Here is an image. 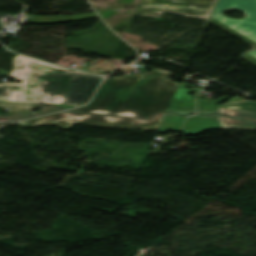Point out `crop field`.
<instances>
[{
  "label": "crop field",
  "mask_w": 256,
  "mask_h": 256,
  "mask_svg": "<svg viewBox=\"0 0 256 256\" xmlns=\"http://www.w3.org/2000/svg\"><path fill=\"white\" fill-rule=\"evenodd\" d=\"M172 73L152 69L142 76L111 77L94 96L89 106L72 111L111 115L150 117L167 110L179 86L170 81Z\"/></svg>",
  "instance_id": "8a807250"
},
{
  "label": "crop field",
  "mask_w": 256,
  "mask_h": 256,
  "mask_svg": "<svg viewBox=\"0 0 256 256\" xmlns=\"http://www.w3.org/2000/svg\"><path fill=\"white\" fill-rule=\"evenodd\" d=\"M10 73L0 74L23 83L0 84V100L63 104L71 70L22 55L13 58Z\"/></svg>",
  "instance_id": "ac0d7876"
},
{
  "label": "crop field",
  "mask_w": 256,
  "mask_h": 256,
  "mask_svg": "<svg viewBox=\"0 0 256 256\" xmlns=\"http://www.w3.org/2000/svg\"><path fill=\"white\" fill-rule=\"evenodd\" d=\"M165 114L166 112L159 113L156 116H153L151 120L146 121L140 119L60 113L18 123H21L24 126L50 124L61 128H70L73 123H77L117 128L133 127L137 129H158Z\"/></svg>",
  "instance_id": "34b2d1b8"
},
{
  "label": "crop field",
  "mask_w": 256,
  "mask_h": 256,
  "mask_svg": "<svg viewBox=\"0 0 256 256\" xmlns=\"http://www.w3.org/2000/svg\"><path fill=\"white\" fill-rule=\"evenodd\" d=\"M227 10H240L245 15L242 19H232L223 16ZM210 21L230 32L256 43V0H219ZM244 58L256 64V51L247 53Z\"/></svg>",
  "instance_id": "412701ff"
},
{
  "label": "crop field",
  "mask_w": 256,
  "mask_h": 256,
  "mask_svg": "<svg viewBox=\"0 0 256 256\" xmlns=\"http://www.w3.org/2000/svg\"><path fill=\"white\" fill-rule=\"evenodd\" d=\"M218 0H141L136 15L161 17L164 11L209 19Z\"/></svg>",
  "instance_id": "f4fd0767"
},
{
  "label": "crop field",
  "mask_w": 256,
  "mask_h": 256,
  "mask_svg": "<svg viewBox=\"0 0 256 256\" xmlns=\"http://www.w3.org/2000/svg\"><path fill=\"white\" fill-rule=\"evenodd\" d=\"M102 79L96 75L72 70L64 104L83 105L99 85Z\"/></svg>",
  "instance_id": "dd49c442"
},
{
  "label": "crop field",
  "mask_w": 256,
  "mask_h": 256,
  "mask_svg": "<svg viewBox=\"0 0 256 256\" xmlns=\"http://www.w3.org/2000/svg\"><path fill=\"white\" fill-rule=\"evenodd\" d=\"M223 114L243 118L248 121H256V102L243 101L217 106Z\"/></svg>",
  "instance_id": "e52e79f7"
},
{
  "label": "crop field",
  "mask_w": 256,
  "mask_h": 256,
  "mask_svg": "<svg viewBox=\"0 0 256 256\" xmlns=\"http://www.w3.org/2000/svg\"><path fill=\"white\" fill-rule=\"evenodd\" d=\"M220 129L218 116H202L188 118L182 132L186 135L200 134L206 130Z\"/></svg>",
  "instance_id": "d8731c3e"
},
{
  "label": "crop field",
  "mask_w": 256,
  "mask_h": 256,
  "mask_svg": "<svg viewBox=\"0 0 256 256\" xmlns=\"http://www.w3.org/2000/svg\"><path fill=\"white\" fill-rule=\"evenodd\" d=\"M180 85L168 110L178 114L195 112L194 97L188 95L189 90Z\"/></svg>",
  "instance_id": "5a996713"
},
{
  "label": "crop field",
  "mask_w": 256,
  "mask_h": 256,
  "mask_svg": "<svg viewBox=\"0 0 256 256\" xmlns=\"http://www.w3.org/2000/svg\"><path fill=\"white\" fill-rule=\"evenodd\" d=\"M40 105L42 104L0 101V108H5L8 110H32ZM34 114H36V112H32V111L8 112L5 117H2V115H0V118H5V119L23 118V117H28Z\"/></svg>",
  "instance_id": "3316defc"
},
{
  "label": "crop field",
  "mask_w": 256,
  "mask_h": 256,
  "mask_svg": "<svg viewBox=\"0 0 256 256\" xmlns=\"http://www.w3.org/2000/svg\"><path fill=\"white\" fill-rule=\"evenodd\" d=\"M95 13L78 14L74 16H35L29 23L32 24H56L69 23L78 20L97 18Z\"/></svg>",
  "instance_id": "28ad6ade"
},
{
  "label": "crop field",
  "mask_w": 256,
  "mask_h": 256,
  "mask_svg": "<svg viewBox=\"0 0 256 256\" xmlns=\"http://www.w3.org/2000/svg\"><path fill=\"white\" fill-rule=\"evenodd\" d=\"M185 117L167 112L158 132L178 131Z\"/></svg>",
  "instance_id": "d1516ede"
},
{
  "label": "crop field",
  "mask_w": 256,
  "mask_h": 256,
  "mask_svg": "<svg viewBox=\"0 0 256 256\" xmlns=\"http://www.w3.org/2000/svg\"><path fill=\"white\" fill-rule=\"evenodd\" d=\"M227 98L228 96H223L217 100L197 98L198 112L203 114L216 112L217 111L216 105Z\"/></svg>",
  "instance_id": "22f410ed"
},
{
  "label": "crop field",
  "mask_w": 256,
  "mask_h": 256,
  "mask_svg": "<svg viewBox=\"0 0 256 256\" xmlns=\"http://www.w3.org/2000/svg\"><path fill=\"white\" fill-rule=\"evenodd\" d=\"M221 129L256 130V125L219 116Z\"/></svg>",
  "instance_id": "cbeb9de0"
},
{
  "label": "crop field",
  "mask_w": 256,
  "mask_h": 256,
  "mask_svg": "<svg viewBox=\"0 0 256 256\" xmlns=\"http://www.w3.org/2000/svg\"><path fill=\"white\" fill-rule=\"evenodd\" d=\"M60 108H53V107H43V111L41 114H46V113H51V112H55V111H60ZM39 114V115H41Z\"/></svg>",
  "instance_id": "5142ce71"
},
{
  "label": "crop field",
  "mask_w": 256,
  "mask_h": 256,
  "mask_svg": "<svg viewBox=\"0 0 256 256\" xmlns=\"http://www.w3.org/2000/svg\"><path fill=\"white\" fill-rule=\"evenodd\" d=\"M10 124H17V122H12V123H0V128L1 127H4V126H7V125H10ZM2 136H0L1 138Z\"/></svg>",
  "instance_id": "d9b57169"
}]
</instances>
